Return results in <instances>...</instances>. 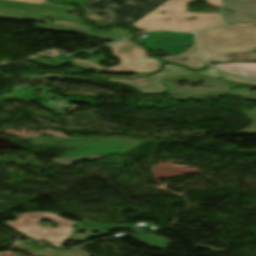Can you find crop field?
I'll return each mask as SVG.
<instances>
[{"label":"crop field","mask_w":256,"mask_h":256,"mask_svg":"<svg viewBox=\"0 0 256 256\" xmlns=\"http://www.w3.org/2000/svg\"><path fill=\"white\" fill-rule=\"evenodd\" d=\"M50 219L57 221L60 225L59 229H54L51 227H41L37 225V221L42 219ZM77 222L66 220L58 215L49 213H34V214H21L16 222L8 221L7 224L16 229L17 231L28 235L31 238L38 240H47L51 244L61 247L63 243L69 238L73 232V224ZM76 227L79 229L75 231L70 240L86 241L89 237L103 236L107 235L85 223L78 224ZM84 230L88 232V235H76L79 230ZM93 231H99L103 235H93Z\"/></svg>","instance_id":"3"},{"label":"crop field","mask_w":256,"mask_h":256,"mask_svg":"<svg viewBox=\"0 0 256 256\" xmlns=\"http://www.w3.org/2000/svg\"><path fill=\"white\" fill-rule=\"evenodd\" d=\"M31 144H47L49 149L56 148L61 157L91 154H123L138 144V140L125 141L118 137L97 138L94 140L77 139H31Z\"/></svg>","instance_id":"4"},{"label":"crop field","mask_w":256,"mask_h":256,"mask_svg":"<svg viewBox=\"0 0 256 256\" xmlns=\"http://www.w3.org/2000/svg\"><path fill=\"white\" fill-rule=\"evenodd\" d=\"M110 48L112 49L111 51L113 53V56L121 59L120 65L106 69L89 61H79L76 59H72L70 64L76 68L86 70L96 69L101 72L144 74L158 70L159 66L161 65V62L159 60L148 57L147 52L143 48L135 45L129 40L110 46ZM133 55L136 56L133 57Z\"/></svg>","instance_id":"5"},{"label":"crop field","mask_w":256,"mask_h":256,"mask_svg":"<svg viewBox=\"0 0 256 256\" xmlns=\"http://www.w3.org/2000/svg\"><path fill=\"white\" fill-rule=\"evenodd\" d=\"M16 256H24L23 254H21V253H18Z\"/></svg>","instance_id":"17"},{"label":"crop field","mask_w":256,"mask_h":256,"mask_svg":"<svg viewBox=\"0 0 256 256\" xmlns=\"http://www.w3.org/2000/svg\"><path fill=\"white\" fill-rule=\"evenodd\" d=\"M24 241H19L16 247L28 251L36 256H91V254L87 253L86 251L76 248L72 250H51L50 248L46 247L43 251L31 249L24 247Z\"/></svg>","instance_id":"11"},{"label":"crop field","mask_w":256,"mask_h":256,"mask_svg":"<svg viewBox=\"0 0 256 256\" xmlns=\"http://www.w3.org/2000/svg\"><path fill=\"white\" fill-rule=\"evenodd\" d=\"M214 66L227 72L256 77V63H226Z\"/></svg>","instance_id":"13"},{"label":"crop field","mask_w":256,"mask_h":256,"mask_svg":"<svg viewBox=\"0 0 256 256\" xmlns=\"http://www.w3.org/2000/svg\"><path fill=\"white\" fill-rule=\"evenodd\" d=\"M230 10H233L234 13H230ZM223 13L227 14L228 23L240 21L256 22V0H230L224 6Z\"/></svg>","instance_id":"10"},{"label":"crop field","mask_w":256,"mask_h":256,"mask_svg":"<svg viewBox=\"0 0 256 256\" xmlns=\"http://www.w3.org/2000/svg\"><path fill=\"white\" fill-rule=\"evenodd\" d=\"M148 37L138 41L151 50L163 51L171 56H177L187 51L189 43L194 40L193 34L170 32H149ZM192 40V42H189Z\"/></svg>","instance_id":"8"},{"label":"crop field","mask_w":256,"mask_h":256,"mask_svg":"<svg viewBox=\"0 0 256 256\" xmlns=\"http://www.w3.org/2000/svg\"><path fill=\"white\" fill-rule=\"evenodd\" d=\"M192 0H168L160 7L134 23L132 26L141 31L147 30H176V31H198L224 24L217 13L202 14L186 11V5ZM215 7H221L222 0H207ZM162 11L166 12L162 14ZM196 16L197 19L186 21V18ZM216 16V19L213 17ZM168 18L170 21H166ZM215 21H220L216 23Z\"/></svg>","instance_id":"2"},{"label":"crop field","mask_w":256,"mask_h":256,"mask_svg":"<svg viewBox=\"0 0 256 256\" xmlns=\"http://www.w3.org/2000/svg\"><path fill=\"white\" fill-rule=\"evenodd\" d=\"M187 57L188 58V62H185L183 60H181L182 58ZM166 62H173V63H177V64H182L185 65L189 68L192 69H198V68H202L204 67L206 64L202 61L198 51L196 50V48H189L188 51L180 56L177 57H169V58H165Z\"/></svg>","instance_id":"12"},{"label":"crop field","mask_w":256,"mask_h":256,"mask_svg":"<svg viewBox=\"0 0 256 256\" xmlns=\"http://www.w3.org/2000/svg\"><path fill=\"white\" fill-rule=\"evenodd\" d=\"M0 6L24 9V10H28L29 8H34V9H42V10H50V11H58V12H63L65 7L74 9V7H70V6L52 5V4H48V3L42 4V5H36V4H28V3H20V2H12V1H4V0H0ZM0 18H9V19L19 18V19H29V20L41 21V19H36V18H24V17H12V16H0ZM59 24H62V26H67V27L91 29L89 26L81 24V22L78 20L55 17L53 25H59ZM36 28L50 30V31H68V30H62V29L39 26V25H36ZM69 32H74V31H69ZM84 35H86L88 37L96 36V35H90V34H85V33H84ZM97 37L99 39H103V40H112V41L119 40V39L107 38V37H102V36H97Z\"/></svg>","instance_id":"9"},{"label":"crop field","mask_w":256,"mask_h":256,"mask_svg":"<svg viewBox=\"0 0 256 256\" xmlns=\"http://www.w3.org/2000/svg\"><path fill=\"white\" fill-rule=\"evenodd\" d=\"M166 0H91L83 6L91 9L90 17L100 21L102 25H110L119 22L133 24ZM97 12H107L106 18L96 16Z\"/></svg>","instance_id":"7"},{"label":"crop field","mask_w":256,"mask_h":256,"mask_svg":"<svg viewBox=\"0 0 256 256\" xmlns=\"http://www.w3.org/2000/svg\"><path fill=\"white\" fill-rule=\"evenodd\" d=\"M133 238L149 245L150 247H153V248L157 247L162 250H165V248L169 244V242H166L153 234L145 235V236H137V237H133Z\"/></svg>","instance_id":"14"},{"label":"crop field","mask_w":256,"mask_h":256,"mask_svg":"<svg viewBox=\"0 0 256 256\" xmlns=\"http://www.w3.org/2000/svg\"><path fill=\"white\" fill-rule=\"evenodd\" d=\"M197 73L211 78L222 77L227 83L228 87L256 85L255 79H247L239 76L223 74L211 67ZM191 74H193V72L180 66L166 65L160 73L150 77L138 78L136 80L110 78L109 81L131 86L143 94L165 93L167 92V87L163 85V79L178 76H188ZM150 87L153 89H150Z\"/></svg>","instance_id":"6"},{"label":"crop field","mask_w":256,"mask_h":256,"mask_svg":"<svg viewBox=\"0 0 256 256\" xmlns=\"http://www.w3.org/2000/svg\"><path fill=\"white\" fill-rule=\"evenodd\" d=\"M253 25L237 24L200 32L197 45L207 62L256 60V27Z\"/></svg>","instance_id":"1"},{"label":"crop field","mask_w":256,"mask_h":256,"mask_svg":"<svg viewBox=\"0 0 256 256\" xmlns=\"http://www.w3.org/2000/svg\"><path fill=\"white\" fill-rule=\"evenodd\" d=\"M106 233H108L105 229H103L104 227H106L107 229L111 230V229H121V228H132L129 225H122V226H108V225H104V224H100V223H91V222H86ZM109 234V233H108Z\"/></svg>","instance_id":"15"},{"label":"crop field","mask_w":256,"mask_h":256,"mask_svg":"<svg viewBox=\"0 0 256 256\" xmlns=\"http://www.w3.org/2000/svg\"><path fill=\"white\" fill-rule=\"evenodd\" d=\"M13 1H21V2H29V3H37V4L46 3L45 0H13Z\"/></svg>","instance_id":"16"}]
</instances>
